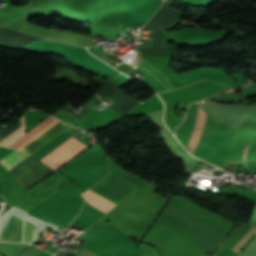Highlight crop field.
<instances>
[{
  "label": "crop field",
  "instance_id": "obj_11",
  "mask_svg": "<svg viewBox=\"0 0 256 256\" xmlns=\"http://www.w3.org/2000/svg\"><path fill=\"white\" fill-rule=\"evenodd\" d=\"M7 126H9L10 124H6Z\"/></svg>",
  "mask_w": 256,
  "mask_h": 256
},
{
  "label": "crop field",
  "instance_id": "obj_2",
  "mask_svg": "<svg viewBox=\"0 0 256 256\" xmlns=\"http://www.w3.org/2000/svg\"><path fill=\"white\" fill-rule=\"evenodd\" d=\"M23 219L14 215L9 219L0 241L21 242ZM34 226L24 222L22 241L33 242Z\"/></svg>",
  "mask_w": 256,
  "mask_h": 256
},
{
  "label": "crop field",
  "instance_id": "obj_13",
  "mask_svg": "<svg viewBox=\"0 0 256 256\" xmlns=\"http://www.w3.org/2000/svg\"><path fill=\"white\" fill-rule=\"evenodd\" d=\"M3 125V124H0V126Z\"/></svg>",
  "mask_w": 256,
  "mask_h": 256
},
{
  "label": "crop field",
  "instance_id": "obj_3",
  "mask_svg": "<svg viewBox=\"0 0 256 256\" xmlns=\"http://www.w3.org/2000/svg\"><path fill=\"white\" fill-rule=\"evenodd\" d=\"M226 128L227 125L214 122L200 148L214 151Z\"/></svg>",
  "mask_w": 256,
  "mask_h": 256
},
{
  "label": "crop field",
  "instance_id": "obj_8",
  "mask_svg": "<svg viewBox=\"0 0 256 256\" xmlns=\"http://www.w3.org/2000/svg\"><path fill=\"white\" fill-rule=\"evenodd\" d=\"M196 106H197V104H195V108H194V111H193V115H192L191 124H192V121H193V117H194V113H195V110H196ZM191 124H190V126H191ZM190 126H189V128H188V130H187V133H188V131H189V129H190ZM187 133H186V135H185V137H184V139H183L182 143H184V141H185V138H186V136H187Z\"/></svg>",
  "mask_w": 256,
  "mask_h": 256
},
{
  "label": "crop field",
  "instance_id": "obj_4",
  "mask_svg": "<svg viewBox=\"0 0 256 256\" xmlns=\"http://www.w3.org/2000/svg\"><path fill=\"white\" fill-rule=\"evenodd\" d=\"M82 195L88 203L94 205L95 207L106 213L116 206L89 190Z\"/></svg>",
  "mask_w": 256,
  "mask_h": 256
},
{
  "label": "crop field",
  "instance_id": "obj_1",
  "mask_svg": "<svg viewBox=\"0 0 256 256\" xmlns=\"http://www.w3.org/2000/svg\"><path fill=\"white\" fill-rule=\"evenodd\" d=\"M72 137L40 160L56 170L76 155L89 148Z\"/></svg>",
  "mask_w": 256,
  "mask_h": 256
},
{
  "label": "crop field",
  "instance_id": "obj_5",
  "mask_svg": "<svg viewBox=\"0 0 256 256\" xmlns=\"http://www.w3.org/2000/svg\"><path fill=\"white\" fill-rule=\"evenodd\" d=\"M28 156L30 155L27 154L26 152L15 150L11 154H9L7 157H5L3 160H1L0 163H2L6 168L10 170L14 166L19 164L21 161L26 159Z\"/></svg>",
  "mask_w": 256,
  "mask_h": 256
},
{
  "label": "crop field",
  "instance_id": "obj_10",
  "mask_svg": "<svg viewBox=\"0 0 256 256\" xmlns=\"http://www.w3.org/2000/svg\"><path fill=\"white\" fill-rule=\"evenodd\" d=\"M245 154V153H244ZM243 161H244V155H243Z\"/></svg>",
  "mask_w": 256,
  "mask_h": 256
},
{
  "label": "crop field",
  "instance_id": "obj_6",
  "mask_svg": "<svg viewBox=\"0 0 256 256\" xmlns=\"http://www.w3.org/2000/svg\"><path fill=\"white\" fill-rule=\"evenodd\" d=\"M256 233V228L252 227L248 233L237 243V245L233 248L235 251H239L249 240L250 238Z\"/></svg>",
  "mask_w": 256,
  "mask_h": 256
},
{
  "label": "crop field",
  "instance_id": "obj_7",
  "mask_svg": "<svg viewBox=\"0 0 256 256\" xmlns=\"http://www.w3.org/2000/svg\"><path fill=\"white\" fill-rule=\"evenodd\" d=\"M246 161H256V144L251 143L247 150Z\"/></svg>",
  "mask_w": 256,
  "mask_h": 256
},
{
  "label": "crop field",
  "instance_id": "obj_12",
  "mask_svg": "<svg viewBox=\"0 0 256 256\" xmlns=\"http://www.w3.org/2000/svg\"><path fill=\"white\" fill-rule=\"evenodd\" d=\"M98 96V95H97ZM99 98H101L100 96H98Z\"/></svg>",
  "mask_w": 256,
  "mask_h": 256
},
{
  "label": "crop field",
  "instance_id": "obj_9",
  "mask_svg": "<svg viewBox=\"0 0 256 256\" xmlns=\"http://www.w3.org/2000/svg\"><path fill=\"white\" fill-rule=\"evenodd\" d=\"M138 256H150V255H148V254H146L145 252H141Z\"/></svg>",
  "mask_w": 256,
  "mask_h": 256
}]
</instances>
